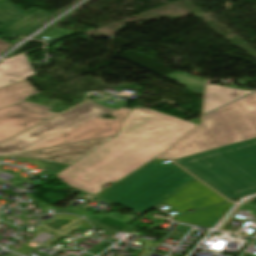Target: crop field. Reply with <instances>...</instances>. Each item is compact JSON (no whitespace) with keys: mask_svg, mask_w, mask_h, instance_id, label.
Listing matches in <instances>:
<instances>
[{"mask_svg":"<svg viewBox=\"0 0 256 256\" xmlns=\"http://www.w3.org/2000/svg\"><path fill=\"white\" fill-rule=\"evenodd\" d=\"M197 124L134 106L118 136L55 175L93 195L153 159Z\"/></svg>","mask_w":256,"mask_h":256,"instance_id":"crop-field-1","label":"crop field"},{"mask_svg":"<svg viewBox=\"0 0 256 256\" xmlns=\"http://www.w3.org/2000/svg\"><path fill=\"white\" fill-rule=\"evenodd\" d=\"M130 112L124 107L113 110L89 101L1 143L0 156L117 135ZM105 113L116 118L100 117Z\"/></svg>","mask_w":256,"mask_h":256,"instance_id":"crop-field-2","label":"crop field"},{"mask_svg":"<svg viewBox=\"0 0 256 256\" xmlns=\"http://www.w3.org/2000/svg\"><path fill=\"white\" fill-rule=\"evenodd\" d=\"M175 161L229 200L256 192V138Z\"/></svg>","mask_w":256,"mask_h":256,"instance_id":"crop-field-3","label":"crop field"},{"mask_svg":"<svg viewBox=\"0 0 256 256\" xmlns=\"http://www.w3.org/2000/svg\"><path fill=\"white\" fill-rule=\"evenodd\" d=\"M256 137V93L204 116L202 125L160 157L177 159Z\"/></svg>","mask_w":256,"mask_h":256,"instance_id":"crop-field-4","label":"crop field"},{"mask_svg":"<svg viewBox=\"0 0 256 256\" xmlns=\"http://www.w3.org/2000/svg\"><path fill=\"white\" fill-rule=\"evenodd\" d=\"M163 161L167 160L152 161L98 197L143 213L196 180Z\"/></svg>","mask_w":256,"mask_h":256,"instance_id":"crop-field-5","label":"crop field"},{"mask_svg":"<svg viewBox=\"0 0 256 256\" xmlns=\"http://www.w3.org/2000/svg\"><path fill=\"white\" fill-rule=\"evenodd\" d=\"M49 109L25 101L0 108V141L56 114Z\"/></svg>","mask_w":256,"mask_h":256,"instance_id":"crop-field-6","label":"crop field"},{"mask_svg":"<svg viewBox=\"0 0 256 256\" xmlns=\"http://www.w3.org/2000/svg\"><path fill=\"white\" fill-rule=\"evenodd\" d=\"M51 14L38 9L23 11L8 0L0 1V33L14 38L23 35L39 25Z\"/></svg>","mask_w":256,"mask_h":256,"instance_id":"crop-field-7","label":"crop field"},{"mask_svg":"<svg viewBox=\"0 0 256 256\" xmlns=\"http://www.w3.org/2000/svg\"><path fill=\"white\" fill-rule=\"evenodd\" d=\"M114 137L64 145L59 147L15 154L14 157L44 160L71 165L94 149L110 141Z\"/></svg>","mask_w":256,"mask_h":256,"instance_id":"crop-field-8","label":"crop field"},{"mask_svg":"<svg viewBox=\"0 0 256 256\" xmlns=\"http://www.w3.org/2000/svg\"><path fill=\"white\" fill-rule=\"evenodd\" d=\"M34 75L35 72L24 55L8 62H0V88Z\"/></svg>","mask_w":256,"mask_h":256,"instance_id":"crop-field-9","label":"crop field"},{"mask_svg":"<svg viewBox=\"0 0 256 256\" xmlns=\"http://www.w3.org/2000/svg\"><path fill=\"white\" fill-rule=\"evenodd\" d=\"M248 93L250 91L207 85L204 114Z\"/></svg>","mask_w":256,"mask_h":256,"instance_id":"crop-field-10","label":"crop field"},{"mask_svg":"<svg viewBox=\"0 0 256 256\" xmlns=\"http://www.w3.org/2000/svg\"><path fill=\"white\" fill-rule=\"evenodd\" d=\"M34 94L37 92L26 80L2 88L0 89V107L18 103Z\"/></svg>","mask_w":256,"mask_h":256,"instance_id":"crop-field-11","label":"crop field"},{"mask_svg":"<svg viewBox=\"0 0 256 256\" xmlns=\"http://www.w3.org/2000/svg\"><path fill=\"white\" fill-rule=\"evenodd\" d=\"M75 34H78V33L55 28V29L37 37L36 39L43 40V38H41L42 36H45V37L50 36V37H54V38L65 39L66 36H71V35H75Z\"/></svg>","mask_w":256,"mask_h":256,"instance_id":"crop-field-12","label":"crop field"},{"mask_svg":"<svg viewBox=\"0 0 256 256\" xmlns=\"http://www.w3.org/2000/svg\"><path fill=\"white\" fill-rule=\"evenodd\" d=\"M8 46H10V44L0 40V52L6 49Z\"/></svg>","mask_w":256,"mask_h":256,"instance_id":"crop-field-13","label":"crop field"},{"mask_svg":"<svg viewBox=\"0 0 256 256\" xmlns=\"http://www.w3.org/2000/svg\"><path fill=\"white\" fill-rule=\"evenodd\" d=\"M5 256H8V255H5Z\"/></svg>","mask_w":256,"mask_h":256,"instance_id":"crop-field-14","label":"crop field"}]
</instances>
